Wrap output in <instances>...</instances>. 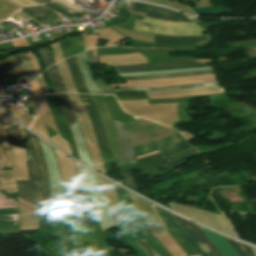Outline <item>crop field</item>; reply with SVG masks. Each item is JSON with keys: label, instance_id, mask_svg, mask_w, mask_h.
Here are the masks:
<instances>
[{"label": "crop field", "instance_id": "8a807250", "mask_svg": "<svg viewBox=\"0 0 256 256\" xmlns=\"http://www.w3.org/2000/svg\"><path fill=\"white\" fill-rule=\"evenodd\" d=\"M140 23L149 24L151 26L141 25ZM133 29L151 34L178 36L202 35V32H204L195 23H175L147 17H145L143 21L136 19Z\"/></svg>", "mask_w": 256, "mask_h": 256}, {"label": "crop field", "instance_id": "ac0d7876", "mask_svg": "<svg viewBox=\"0 0 256 256\" xmlns=\"http://www.w3.org/2000/svg\"><path fill=\"white\" fill-rule=\"evenodd\" d=\"M27 137L34 164L38 175L37 205L38 208L50 209L49 204V178L41 147L37 137L23 128Z\"/></svg>", "mask_w": 256, "mask_h": 256}, {"label": "crop field", "instance_id": "34b2d1b8", "mask_svg": "<svg viewBox=\"0 0 256 256\" xmlns=\"http://www.w3.org/2000/svg\"><path fill=\"white\" fill-rule=\"evenodd\" d=\"M50 177L51 209L64 208L63 187L56 154L53 147L40 140Z\"/></svg>", "mask_w": 256, "mask_h": 256}, {"label": "crop field", "instance_id": "412701ff", "mask_svg": "<svg viewBox=\"0 0 256 256\" xmlns=\"http://www.w3.org/2000/svg\"><path fill=\"white\" fill-rule=\"evenodd\" d=\"M170 204L173 210L177 212H180L194 220H197L199 222L212 226L220 231H223L225 233H228L230 235L237 237L233 232L229 222L222 215L213 214L208 211H204V210H200V209H196L188 206L176 205L172 203Z\"/></svg>", "mask_w": 256, "mask_h": 256}, {"label": "crop field", "instance_id": "f4fd0767", "mask_svg": "<svg viewBox=\"0 0 256 256\" xmlns=\"http://www.w3.org/2000/svg\"><path fill=\"white\" fill-rule=\"evenodd\" d=\"M22 143L27 153L28 161H26V164H27L29 175H30V179L29 181H16L18 196L31 203H36V191H37L36 171L33 164L31 152L29 150L25 137Z\"/></svg>", "mask_w": 256, "mask_h": 256}, {"label": "crop field", "instance_id": "dd49c442", "mask_svg": "<svg viewBox=\"0 0 256 256\" xmlns=\"http://www.w3.org/2000/svg\"><path fill=\"white\" fill-rule=\"evenodd\" d=\"M132 10L146 13V16L156 18V19H162V20H168V21H175V22H194L191 17L184 16L177 14L173 11L145 5V4H139L135 3L133 4Z\"/></svg>", "mask_w": 256, "mask_h": 256}, {"label": "crop field", "instance_id": "e52e79f7", "mask_svg": "<svg viewBox=\"0 0 256 256\" xmlns=\"http://www.w3.org/2000/svg\"><path fill=\"white\" fill-rule=\"evenodd\" d=\"M57 151L56 154L63 180L64 190L82 189L72 160Z\"/></svg>", "mask_w": 256, "mask_h": 256}, {"label": "crop field", "instance_id": "d8731c3e", "mask_svg": "<svg viewBox=\"0 0 256 256\" xmlns=\"http://www.w3.org/2000/svg\"><path fill=\"white\" fill-rule=\"evenodd\" d=\"M83 105L85 106L89 119L93 125L94 134L96 136L99 148L103 151L110 152L103 124L93 102H84Z\"/></svg>", "mask_w": 256, "mask_h": 256}, {"label": "crop field", "instance_id": "5a996713", "mask_svg": "<svg viewBox=\"0 0 256 256\" xmlns=\"http://www.w3.org/2000/svg\"><path fill=\"white\" fill-rule=\"evenodd\" d=\"M175 217L182 223V225L195 238V240L201 245V247L208 253L209 256H223L220 253V251L213 245V243L207 238V236L200 230V228L198 226H196L192 223H189L177 216H175Z\"/></svg>", "mask_w": 256, "mask_h": 256}, {"label": "crop field", "instance_id": "3316defc", "mask_svg": "<svg viewBox=\"0 0 256 256\" xmlns=\"http://www.w3.org/2000/svg\"><path fill=\"white\" fill-rule=\"evenodd\" d=\"M68 94V93H67ZM69 100L77 114V118H81L82 124L84 127V131L86 134V138L94 143L97 144L96 139L93 134L92 126L89 122L87 112L83 105L81 104V101L77 94H68Z\"/></svg>", "mask_w": 256, "mask_h": 256}, {"label": "crop field", "instance_id": "28ad6ade", "mask_svg": "<svg viewBox=\"0 0 256 256\" xmlns=\"http://www.w3.org/2000/svg\"><path fill=\"white\" fill-rule=\"evenodd\" d=\"M157 214L159 215L160 219L164 223L167 230L172 229L176 227L180 233L187 239V241L194 247V249L199 252L202 256H206L202 250L196 245V243L189 237V235L182 229V227L179 225V223L172 217V215L156 206H153ZM199 253L194 254L192 256H201Z\"/></svg>", "mask_w": 256, "mask_h": 256}, {"label": "crop field", "instance_id": "d1516ede", "mask_svg": "<svg viewBox=\"0 0 256 256\" xmlns=\"http://www.w3.org/2000/svg\"><path fill=\"white\" fill-rule=\"evenodd\" d=\"M181 141H185L184 137L177 134L175 136H172V137H169V138H166V139H163V140H160V141L148 144V145L134 147L133 148L134 155L136 157V156L143 155V154L153 152V151H156V150L162 151L165 148H167L171 145H174L178 142H181Z\"/></svg>", "mask_w": 256, "mask_h": 256}, {"label": "crop field", "instance_id": "22f410ed", "mask_svg": "<svg viewBox=\"0 0 256 256\" xmlns=\"http://www.w3.org/2000/svg\"><path fill=\"white\" fill-rule=\"evenodd\" d=\"M114 121V120H113ZM119 136L122 152L126 163H136L133 159V151L130 136L125 124L114 121Z\"/></svg>", "mask_w": 256, "mask_h": 256}, {"label": "crop field", "instance_id": "cbeb9de0", "mask_svg": "<svg viewBox=\"0 0 256 256\" xmlns=\"http://www.w3.org/2000/svg\"><path fill=\"white\" fill-rule=\"evenodd\" d=\"M76 60H77V63L80 67V70L82 72V75L85 79V82H86V85H87V88L89 90L90 93H96V94H101L96 83H95V80L89 70V66H88V60H87V57H86V54L85 52L76 56L75 57Z\"/></svg>", "mask_w": 256, "mask_h": 256}, {"label": "crop field", "instance_id": "5142ce71", "mask_svg": "<svg viewBox=\"0 0 256 256\" xmlns=\"http://www.w3.org/2000/svg\"><path fill=\"white\" fill-rule=\"evenodd\" d=\"M207 36H196V37H166L156 35L155 43H162L168 45H195L201 40H206Z\"/></svg>", "mask_w": 256, "mask_h": 256}, {"label": "crop field", "instance_id": "d9b57169", "mask_svg": "<svg viewBox=\"0 0 256 256\" xmlns=\"http://www.w3.org/2000/svg\"><path fill=\"white\" fill-rule=\"evenodd\" d=\"M202 229V228H201ZM209 239L216 245L224 256H239L224 237L202 229Z\"/></svg>", "mask_w": 256, "mask_h": 256}, {"label": "crop field", "instance_id": "733c2abd", "mask_svg": "<svg viewBox=\"0 0 256 256\" xmlns=\"http://www.w3.org/2000/svg\"><path fill=\"white\" fill-rule=\"evenodd\" d=\"M78 93H88L84 79L74 57L66 60Z\"/></svg>", "mask_w": 256, "mask_h": 256}, {"label": "crop field", "instance_id": "4a817a6b", "mask_svg": "<svg viewBox=\"0 0 256 256\" xmlns=\"http://www.w3.org/2000/svg\"><path fill=\"white\" fill-rule=\"evenodd\" d=\"M187 144H188L187 141L181 142V143H179L177 145H174V146H171V147L167 148L165 151H163L160 154L152 155V156H149V157H151L158 164L167 165V166L171 167V166H173L175 164H178V163H180V162H182L184 160H187L189 158H192V157L196 156V154L193 153V154H190L188 156L176 159V160L171 161V162L167 161L168 159L166 160V158L164 156H160V155H162V154H164V153H166L168 151H171V150H173V149H175V148H177L179 146H183V145H187Z\"/></svg>", "mask_w": 256, "mask_h": 256}, {"label": "crop field", "instance_id": "bc2a9ffb", "mask_svg": "<svg viewBox=\"0 0 256 256\" xmlns=\"http://www.w3.org/2000/svg\"><path fill=\"white\" fill-rule=\"evenodd\" d=\"M59 106L65 115L68 125H72L77 121V118L75 116V113L70 105V102L66 96V94H56Z\"/></svg>", "mask_w": 256, "mask_h": 256}, {"label": "crop field", "instance_id": "214f88e0", "mask_svg": "<svg viewBox=\"0 0 256 256\" xmlns=\"http://www.w3.org/2000/svg\"><path fill=\"white\" fill-rule=\"evenodd\" d=\"M56 66L59 70L60 77L63 81L64 88H65L66 92L77 93L76 88H75V86L73 84V81H72L70 71L67 67L66 61L64 60V61L56 64Z\"/></svg>", "mask_w": 256, "mask_h": 256}, {"label": "crop field", "instance_id": "92a150f3", "mask_svg": "<svg viewBox=\"0 0 256 256\" xmlns=\"http://www.w3.org/2000/svg\"><path fill=\"white\" fill-rule=\"evenodd\" d=\"M100 65H130L136 63H147L144 56L119 58V59H105L99 60Z\"/></svg>", "mask_w": 256, "mask_h": 256}, {"label": "crop field", "instance_id": "dafd665d", "mask_svg": "<svg viewBox=\"0 0 256 256\" xmlns=\"http://www.w3.org/2000/svg\"><path fill=\"white\" fill-rule=\"evenodd\" d=\"M17 58L20 61L21 65H22V68H23L29 82H31L36 77H38V75H37V73L34 69V66H33L29 56L27 55V53L17 55Z\"/></svg>", "mask_w": 256, "mask_h": 256}, {"label": "crop field", "instance_id": "00972430", "mask_svg": "<svg viewBox=\"0 0 256 256\" xmlns=\"http://www.w3.org/2000/svg\"><path fill=\"white\" fill-rule=\"evenodd\" d=\"M217 81L216 79L209 80H190L178 83H166V84H112L111 87H160V86H170V85H182V84H192L201 82H212Z\"/></svg>", "mask_w": 256, "mask_h": 256}, {"label": "crop field", "instance_id": "a9b5d70f", "mask_svg": "<svg viewBox=\"0 0 256 256\" xmlns=\"http://www.w3.org/2000/svg\"><path fill=\"white\" fill-rule=\"evenodd\" d=\"M215 78V74L204 75V76H188V77H177V78H167L159 80H145V81H127L128 83H165V82H178L190 79H208Z\"/></svg>", "mask_w": 256, "mask_h": 256}, {"label": "crop field", "instance_id": "4177f3b9", "mask_svg": "<svg viewBox=\"0 0 256 256\" xmlns=\"http://www.w3.org/2000/svg\"><path fill=\"white\" fill-rule=\"evenodd\" d=\"M218 85L217 82L214 83H206V84H193V85H182V86H170V87H160V88H127L124 90L121 89H113L119 91H138V90H147V91H155V90H168V89H184V88H196V87H204Z\"/></svg>", "mask_w": 256, "mask_h": 256}, {"label": "crop field", "instance_id": "730fd06b", "mask_svg": "<svg viewBox=\"0 0 256 256\" xmlns=\"http://www.w3.org/2000/svg\"><path fill=\"white\" fill-rule=\"evenodd\" d=\"M50 78H51V81L53 83V86H54V91L55 92H65L64 91V88H63V84H62V81L59 77V74H58V70L56 68V66H52L50 67L48 70H47Z\"/></svg>", "mask_w": 256, "mask_h": 256}, {"label": "crop field", "instance_id": "eef30255", "mask_svg": "<svg viewBox=\"0 0 256 256\" xmlns=\"http://www.w3.org/2000/svg\"><path fill=\"white\" fill-rule=\"evenodd\" d=\"M226 238V237H225ZM227 241L233 246V248L239 253L240 256H256L254 252L256 253V249L252 248L250 249L249 246L240 244L238 242H235L231 239L226 238Z\"/></svg>", "mask_w": 256, "mask_h": 256}, {"label": "crop field", "instance_id": "ae1a2a85", "mask_svg": "<svg viewBox=\"0 0 256 256\" xmlns=\"http://www.w3.org/2000/svg\"><path fill=\"white\" fill-rule=\"evenodd\" d=\"M193 12L197 13L198 16L201 15H210V14H219L230 12L223 6H214V7H206V8H198V9H191Z\"/></svg>", "mask_w": 256, "mask_h": 256}, {"label": "crop field", "instance_id": "d3111659", "mask_svg": "<svg viewBox=\"0 0 256 256\" xmlns=\"http://www.w3.org/2000/svg\"><path fill=\"white\" fill-rule=\"evenodd\" d=\"M6 132L9 134L10 143L22 148L20 144V131L17 125L12 126L6 129Z\"/></svg>", "mask_w": 256, "mask_h": 256}, {"label": "crop field", "instance_id": "750c4746", "mask_svg": "<svg viewBox=\"0 0 256 256\" xmlns=\"http://www.w3.org/2000/svg\"><path fill=\"white\" fill-rule=\"evenodd\" d=\"M224 92L223 89H217L212 91H203V92H189L177 95H161V96H149L150 99H158V98H171V97H183V96H192V95H203V94H211V93H219Z\"/></svg>", "mask_w": 256, "mask_h": 256}, {"label": "crop field", "instance_id": "bd1437ed", "mask_svg": "<svg viewBox=\"0 0 256 256\" xmlns=\"http://www.w3.org/2000/svg\"><path fill=\"white\" fill-rule=\"evenodd\" d=\"M115 71L117 73L121 72H145L148 71V65L142 64V65H132V66H120V67H114Z\"/></svg>", "mask_w": 256, "mask_h": 256}, {"label": "crop field", "instance_id": "1d83c4d3", "mask_svg": "<svg viewBox=\"0 0 256 256\" xmlns=\"http://www.w3.org/2000/svg\"><path fill=\"white\" fill-rule=\"evenodd\" d=\"M209 89H216L215 86L212 87H204V88H196V89H185V90H168V91H156V92H146L147 95H161V94H177L189 91H202V90H209Z\"/></svg>", "mask_w": 256, "mask_h": 256}, {"label": "crop field", "instance_id": "120bbe31", "mask_svg": "<svg viewBox=\"0 0 256 256\" xmlns=\"http://www.w3.org/2000/svg\"><path fill=\"white\" fill-rule=\"evenodd\" d=\"M118 170L121 173V175H122V177H123L127 187L132 188V189H134V190L139 192L138 185H137L135 179L133 178L132 174L123 171L121 169V167H118Z\"/></svg>", "mask_w": 256, "mask_h": 256}, {"label": "crop field", "instance_id": "d32e631a", "mask_svg": "<svg viewBox=\"0 0 256 256\" xmlns=\"http://www.w3.org/2000/svg\"><path fill=\"white\" fill-rule=\"evenodd\" d=\"M50 138H51L52 144L56 145L57 147H59L60 149L64 150L65 152L71 155L68 142L65 141L63 138H61L59 134L51 136Z\"/></svg>", "mask_w": 256, "mask_h": 256}, {"label": "crop field", "instance_id": "5866460e", "mask_svg": "<svg viewBox=\"0 0 256 256\" xmlns=\"http://www.w3.org/2000/svg\"><path fill=\"white\" fill-rule=\"evenodd\" d=\"M188 64H198V63L194 62L192 60L170 61V62H164V63L149 64V68L164 67V66H176V65H188Z\"/></svg>", "mask_w": 256, "mask_h": 256}, {"label": "crop field", "instance_id": "028f5c9d", "mask_svg": "<svg viewBox=\"0 0 256 256\" xmlns=\"http://www.w3.org/2000/svg\"><path fill=\"white\" fill-rule=\"evenodd\" d=\"M38 51L40 52L41 56L43 57L47 68L50 67L51 65L55 64L48 47L39 48Z\"/></svg>", "mask_w": 256, "mask_h": 256}, {"label": "crop field", "instance_id": "e1f06a70", "mask_svg": "<svg viewBox=\"0 0 256 256\" xmlns=\"http://www.w3.org/2000/svg\"><path fill=\"white\" fill-rule=\"evenodd\" d=\"M30 12L34 13L36 16L40 17V18H45L49 15V13L51 12V10L43 7V6H38V7H29L27 8ZM41 19V20H42Z\"/></svg>", "mask_w": 256, "mask_h": 256}, {"label": "crop field", "instance_id": "0bd39190", "mask_svg": "<svg viewBox=\"0 0 256 256\" xmlns=\"http://www.w3.org/2000/svg\"><path fill=\"white\" fill-rule=\"evenodd\" d=\"M49 48L54 55L55 62H58V61L64 59L58 42L49 45Z\"/></svg>", "mask_w": 256, "mask_h": 256}, {"label": "crop field", "instance_id": "b80d0937", "mask_svg": "<svg viewBox=\"0 0 256 256\" xmlns=\"http://www.w3.org/2000/svg\"><path fill=\"white\" fill-rule=\"evenodd\" d=\"M41 113L51 112L44 96L35 97Z\"/></svg>", "mask_w": 256, "mask_h": 256}, {"label": "crop field", "instance_id": "c035e120", "mask_svg": "<svg viewBox=\"0 0 256 256\" xmlns=\"http://www.w3.org/2000/svg\"><path fill=\"white\" fill-rule=\"evenodd\" d=\"M53 2H55V3L65 7V8H67V9H69V10L75 12V13L82 12V10L79 9L77 6H75V5H73V4L69 3V2H66L64 0H54Z\"/></svg>", "mask_w": 256, "mask_h": 256}, {"label": "crop field", "instance_id": "c21b1889", "mask_svg": "<svg viewBox=\"0 0 256 256\" xmlns=\"http://www.w3.org/2000/svg\"><path fill=\"white\" fill-rule=\"evenodd\" d=\"M140 256H149L136 240L128 241Z\"/></svg>", "mask_w": 256, "mask_h": 256}, {"label": "crop field", "instance_id": "03da06ac", "mask_svg": "<svg viewBox=\"0 0 256 256\" xmlns=\"http://www.w3.org/2000/svg\"><path fill=\"white\" fill-rule=\"evenodd\" d=\"M102 93L114 94L108 84H104L103 80L96 79Z\"/></svg>", "mask_w": 256, "mask_h": 256}, {"label": "crop field", "instance_id": "b54c1fbb", "mask_svg": "<svg viewBox=\"0 0 256 256\" xmlns=\"http://www.w3.org/2000/svg\"><path fill=\"white\" fill-rule=\"evenodd\" d=\"M11 207H18V204L14 202L12 199L0 200V208H11Z\"/></svg>", "mask_w": 256, "mask_h": 256}, {"label": "crop field", "instance_id": "5d738f31", "mask_svg": "<svg viewBox=\"0 0 256 256\" xmlns=\"http://www.w3.org/2000/svg\"><path fill=\"white\" fill-rule=\"evenodd\" d=\"M30 85H31L34 95L43 94V91H42L41 86L37 79L35 81H33L32 83H30Z\"/></svg>", "mask_w": 256, "mask_h": 256}, {"label": "crop field", "instance_id": "d23c7cc5", "mask_svg": "<svg viewBox=\"0 0 256 256\" xmlns=\"http://www.w3.org/2000/svg\"><path fill=\"white\" fill-rule=\"evenodd\" d=\"M74 163H75L77 172H78V174H79V177H80V180H81V183H82V187H83V188L88 187V186H87V183H86V181H85V179H84V176H83V174H82V171H81V168H80L79 164H77L76 162H74Z\"/></svg>", "mask_w": 256, "mask_h": 256}, {"label": "crop field", "instance_id": "425ffa30", "mask_svg": "<svg viewBox=\"0 0 256 256\" xmlns=\"http://www.w3.org/2000/svg\"><path fill=\"white\" fill-rule=\"evenodd\" d=\"M140 242V244L147 250V252L151 255V256H153L154 254L156 255V256H158L156 253H155V251L152 249V251L154 252V254L152 253V251L150 250L151 249V247H150V245L147 243V241L146 240H141V241H139Z\"/></svg>", "mask_w": 256, "mask_h": 256}, {"label": "crop field", "instance_id": "25e5ab78", "mask_svg": "<svg viewBox=\"0 0 256 256\" xmlns=\"http://www.w3.org/2000/svg\"><path fill=\"white\" fill-rule=\"evenodd\" d=\"M42 76H43V78H44V80H45V82H46V84L49 88L50 93L53 94L54 93L53 87H52V84H51V81L49 79V76H48L47 72L43 73Z\"/></svg>", "mask_w": 256, "mask_h": 256}, {"label": "crop field", "instance_id": "73cf0c24", "mask_svg": "<svg viewBox=\"0 0 256 256\" xmlns=\"http://www.w3.org/2000/svg\"><path fill=\"white\" fill-rule=\"evenodd\" d=\"M137 55H140V54L135 53V54H127V55L99 56V59H105V58H119V57H129V56H137Z\"/></svg>", "mask_w": 256, "mask_h": 256}, {"label": "crop field", "instance_id": "89e229c0", "mask_svg": "<svg viewBox=\"0 0 256 256\" xmlns=\"http://www.w3.org/2000/svg\"><path fill=\"white\" fill-rule=\"evenodd\" d=\"M0 220H18V214L0 215Z\"/></svg>", "mask_w": 256, "mask_h": 256}, {"label": "crop field", "instance_id": "1f2cbd36", "mask_svg": "<svg viewBox=\"0 0 256 256\" xmlns=\"http://www.w3.org/2000/svg\"><path fill=\"white\" fill-rule=\"evenodd\" d=\"M28 55L30 56V58H31V60H32L34 66H35V69H36V71L38 73V75H41V72H40V69H39V65H38V63H37L33 53L32 52H28Z\"/></svg>", "mask_w": 256, "mask_h": 256}, {"label": "crop field", "instance_id": "dbb93151", "mask_svg": "<svg viewBox=\"0 0 256 256\" xmlns=\"http://www.w3.org/2000/svg\"><path fill=\"white\" fill-rule=\"evenodd\" d=\"M54 120H55V119H54ZM55 123H56V126H57V128H58L59 134H60L63 138H65V139L67 140V137H66V135H65V132H64V130H63V128H62L60 122L57 121V120H55ZM67 141H68V140H67Z\"/></svg>", "mask_w": 256, "mask_h": 256}, {"label": "crop field", "instance_id": "0fb4a251", "mask_svg": "<svg viewBox=\"0 0 256 256\" xmlns=\"http://www.w3.org/2000/svg\"><path fill=\"white\" fill-rule=\"evenodd\" d=\"M193 151H195V150H194L193 148H191V149L185 150V151H183V152H181V153H178V154H176V155L170 156V157H168V158H169L170 160H172V159H174V158L180 157V156H182V155H185V154L190 153V152H193Z\"/></svg>", "mask_w": 256, "mask_h": 256}, {"label": "crop field", "instance_id": "1d79db26", "mask_svg": "<svg viewBox=\"0 0 256 256\" xmlns=\"http://www.w3.org/2000/svg\"><path fill=\"white\" fill-rule=\"evenodd\" d=\"M11 213H18L17 208H12V209H0V214H11Z\"/></svg>", "mask_w": 256, "mask_h": 256}, {"label": "crop field", "instance_id": "9d1cf04e", "mask_svg": "<svg viewBox=\"0 0 256 256\" xmlns=\"http://www.w3.org/2000/svg\"><path fill=\"white\" fill-rule=\"evenodd\" d=\"M44 5L47 6V7H49V8H52V9H54V10L59 11V12H61L62 14L68 16V17L74 16V15H72V14H70V13H67V12H65V11H63V10H61V9H58V8H56V7H54V6L50 5V4H48V3H46V4H44Z\"/></svg>", "mask_w": 256, "mask_h": 256}, {"label": "crop field", "instance_id": "447ae74e", "mask_svg": "<svg viewBox=\"0 0 256 256\" xmlns=\"http://www.w3.org/2000/svg\"><path fill=\"white\" fill-rule=\"evenodd\" d=\"M34 55L36 56V58H37V60H38V62H39V64H40V66H41L42 72L45 71L46 68H45L44 63H43V61H42V59H41L40 54L37 52V53H35Z\"/></svg>", "mask_w": 256, "mask_h": 256}, {"label": "crop field", "instance_id": "0765c3eb", "mask_svg": "<svg viewBox=\"0 0 256 256\" xmlns=\"http://www.w3.org/2000/svg\"><path fill=\"white\" fill-rule=\"evenodd\" d=\"M86 53H87V56H88L89 63L96 64V63H95V59H94V55H93L92 51L89 50V51H87Z\"/></svg>", "mask_w": 256, "mask_h": 256}, {"label": "crop field", "instance_id": "db79e9e6", "mask_svg": "<svg viewBox=\"0 0 256 256\" xmlns=\"http://www.w3.org/2000/svg\"><path fill=\"white\" fill-rule=\"evenodd\" d=\"M0 225H18V221H0Z\"/></svg>", "mask_w": 256, "mask_h": 256}, {"label": "crop field", "instance_id": "7b73153f", "mask_svg": "<svg viewBox=\"0 0 256 256\" xmlns=\"http://www.w3.org/2000/svg\"><path fill=\"white\" fill-rule=\"evenodd\" d=\"M20 1H22L23 3H25V4L29 5V6H33V5H37L38 4V3H35L33 1H31V0H20Z\"/></svg>", "mask_w": 256, "mask_h": 256}, {"label": "crop field", "instance_id": "78b8030e", "mask_svg": "<svg viewBox=\"0 0 256 256\" xmlns=\"http://www.w3.org/2000/svg\"><path fill=\"white\" fill-rule=\"evenodd\" d=\"M11 1L17 3L18 5H20V6H22V7L27 6V5L23 4L22 2H20V1H18V0H11Z\"/></svg>", "mask_w": 256, "mask_h": 256}, {"label": "crop field", "instance_id": "0f1d7ab4", "mask_svg": "<svg viewBox=\"0 0 256 256\" xmlns=\"http://www.w3.org/2000/svg\"><path fill=\"white\" fill-rule=\"evenodd\" d=\"M6 191L9 192V193H15V192H17L16 188L7 189Z\"/></svg>", "mask_w": 256, "mask_h": 256}, {"label": "crop field", "instance_id": "e1d0b9f6", "mask_svg": "<svg viewBox=\"0 0 256 256\" xmlns=\"http://www.w3.org/2000/svg\"><path fill=\"white\" fill-rule=\"evenodd\" d=\"M34 1H36V2H38L40 4H43V3L47 2V1H44V0H34Z\"/></svg>", "mask_w": 256, "mask_h": 256}, {"label": "crop field", "instance_id": "ae633e8c", "mask_svg": "<svg viewBox=\"0 0 256 256\" xmlns=\"http://www.w3.org/2000/svg\"><path fill=\"white\" fill-rule=\"evenodd\" d=\"M4 198H6L5 195H0V199H4Z\"/></svg>", "mask_w": 256, "mask_h": 256}, {"label": "crop field", "instance_id": "d14b1444", "mask_svg": "<svg viewBox=\"0 0 256 256\" xmlns=\"http://www.w3.org/2000/svg\"><path fill=\"white\" fill-rule=\"evenodd\" d=\"M0 170H2V164H1V160H0Z\"/></svg>", "mask_w": 256, "mask_h": 256}, {"label": "crop field", "instance_id": "c39391a2", "mask_svg": "<svg viewBox=\"0 0 256 256\" xmlns=\"http://www.w3.org/2000/svg\"><path fill=\"white\" fill-rule=\"evenodd\" d=\"M83 1H85V2H86L87 0H83Z\"/></svg>", "mask_w": 256, "mask_h": 256}, {"label": "crop field", "instance_id": "ade564c9", "mask_svg": "<svg viewBox=\"0 0 256 256\" xmlns=\"http://www.w3.org/2000/svg\"><path fill=\"white\" fill-rule=\"evenodd\" d=\"M47 1H50V0H47Z\"/></svg>", "mask_w": 256, "mask_h": 256}, {"label": "crop field", "instance_id": "c5b07064", "mask_svg": "<svg viewBox=\"0 0 256 256\" xmlns=\"http://www.w3.org/2000/svg\"><path fill=\"white\" fill-rule=\"evenodd\" d=\"M1 194V193H0Z\"/></svg>", "mask_w": 256, "mask_h": 256}]
</instances>
